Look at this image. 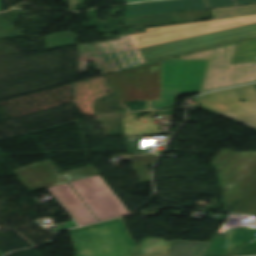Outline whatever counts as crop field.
Masks as SVG:
<instances>
[{
    "mask_svg": "<svg viewBox=\"0 0 256 256\" xmlns=\"http://www.w3.org/2000/svg\"><path fill=\"white\" fill-rule=\"evenodd\" d=\"M209 11L213 20L149 28L146 29L147 33L125 35L117 40L79 46V75L85 73L86 60L90 58V54L99 66V71L103 74L113 73L143 65L135 48L256 22V5Z\"/></svg>",
    "mask_w": 256,
    "mask_h": 256,
    "instance_id": "obj_1",
    "label": "crop field"
},
{
    "mask_svg": "<svg viewBox=\"0 0 256 256\" xmlns=\"http://www.w3.org/2000/svg\"><path fill=\"white\" fill-rule=\"evenodd\" d=\"M76 256H132L137 244L122 218L70 231Z\"/></svg>",
    "mask_w": 256,
    "mask_h": 256,
    "instance_id": "obj_2",
    "label": "crop field"
},
{
    "mask_svg": "<svg viewBox=\"0 0 256 256\" xmlns=\"http://www.w3.org/2000/svg\"><path fill=\"white\" fill-rule=\"evenodd\" d=\"M237 43L182 56L177 60H210L202 92L256 82V61L231 64Z\"/></svg>",
    "mask_w": 256,
    "mask_h": 256,
    "instance_id": "obj_3",
    "label": "crop field"
},
{
    "mask_svg": "<svg viewBox=\"0 0 256 256\" xmlns=\"http://www.w3.org/2000/svg\"><path fill=\"white\" fill-rule=\"evenodd\" d=\"M256 36V23L138 48L143 64H149Z\"/></svg>",
    "mask_w": 256,
    "mask_h": 256,
    "instance_id": "obj_4",
    "label": "crop field"
},
{
    "mask_svg": "<svg viewBox=\"0 0 256 256\" xmlns=\"http://www.w3.org/2000/svg\"><path fill=\"white\" fill-rule=\"evenodd\" d=\"M209 61L162 62L160 100L149 101L151 109H159L173 103L176 93H200Z\"/></svg>",
    "mask_w": 256,
    "mask_h": 256,
    "instance_id": "obj_5",
    "label": "crop field"
},
{
    "mask_svg": "<svg viewBox=\"0 0 256 256\" xmlns=\"http://www.w3.org/2000/svg\"><path fill=\"white\" fill-rule=\"evenodd\" d=\"M222 197L239 201L256 176V152L221 149L212 161Z\"/></svg>",
    "mask_w": 256,
    "mask_h": 256,
    "instance_id": "obj_6",
    "label": "crop field"
},
{
    "mask_svg": "<svg viewBox=\"0 0 256 256\" xmlns=\"http://www.w3.org/2000/svg\"><path fill=\"white\" fill-rule=\"evenodd\" d=\"M195 100L212 112L256 129V92L252 85L212 92ZM239 100L244 102L239 103Z\"/></svg>",
    "mask_w": 256,
    "mask_h": 256,
    "instance_id": "obj_7",
    "label": "crop field"
},
{
    "mask_svg": "<svg viewBox=\"0 0 256 256\" xmlns=\"http://www.w3.org/2000/svg\"><path fill=\"white\" fill-rule=\"evenodd\" d=\"M70 184L99 221L127 214V209L100 176Z\"/></svg>",
    "mask_w": 256,
    "mask_h": 256,
    "instance_id": "obj_8",
    "label": "crop field"
},
{
    "mask_svg": "<svg viewBox=\"0 0 256 256\" xmlns=\"http://www.w3.org/2000/svg\"><path fill=\"white\" fill-rule=\"evenodd\" d=\"M53 166L48 160L13 171L25 187L34 191L66 183Z\"/></svg>",
    "mask_w": 256,
    "mask_h": 256,
    "instance_id": "obj_9",
    "label": "crop field"
},
{
    "mask_svg": "<svg viewBox=\"0 0 256 256\" xmlns=\"http://www.w3.org/2000/svg\"><path fill=\"white\" fill-rule=\"evenodd\" d=\"M207 9L203 0H170L128 5L126 16L136 17L166 12Z\"/></svg>",
    "mask_w": 256,
    "mask_h": 256,
    "instance_id": "obj_10",
    "label": "crop field"
},
{
    "mask_svg": "<svg viewBox=\"0 0 256 256\" xmlns=\"http://www.w3.org/2000/svg\"><path fill=\"white\" fill-rule=\"evenodd\" d=\"M256 238V228L246 226L226 233L225 237L214 236L203 256H230L234 250Z\"/></svg>",
    "mask_w": 256,
    "mask_h": 256,
    "instance_id": "obj_11",
    "label": "crop field"
},
{
    "mask_svg": "<svg viewBox=\"0 0 256 256\" xmlns=\"http://www.w3.org/2000/svg\"><path fill=\"white\" fill-rule=\"evenodd\" d=\"M48 190L53 196H57L78 224L84 225L97 221L68 183L50 187Z\"/></svg>",
    "mask_w": 256,
    "mask_h": 256,
    "instance_id": "obj_12",
    "label": "crop field"
},
{
    "mask_svg": "<svg viewBox=\"0 0 256 256\" xmlns=\"http://www.w3.org/2000/svg\"><path fill=\"white\" fill-rule=\"evenodd\" d=\"M160 63L138 68L137 101L159 99Z\"/></svg>",
    "mask_w": 256,
    "mask_h": 256,
    "instance_id": "obj_13",
    "label": "crop field"
},
{
    "mask_svg": "<svg viewBox=\"0 0 256 256\" xmlns=\"http://www.w3.org/2000/svg\"><path fill=\"white\" fill-rule=\"evenodd\" d=\"M123 108L126 101H136L137 68L107 75Z\"/></svg>",
    "mask_w": 256,
    "mask_h": 256,
    "instance_id": "obj_14",
    "label": "crop field"
},
{
    "mask_svg": "<svg viewBox=\"0 0 256 256\" xmlns=\"http://www.w3.org/2000/svg\"><path fill=\"white\" fill-rule=\"evenodd\" d=\"M143 120L147 123H143ZM155 118H140V121H134L133 118H123L125 136L132 135H159L158 124H154Z\"/></svg>",
    "mask_w": 256,
    "mask_h": 256,
    "instance_id": "obj_15",
    "label": "crop field"
},
{
    "mask_svg": "<svg viewBox=\"0 0 256 256\" xmlns=\"http://www.w3.org/2000/svg\"><path fill=\"white\" fill-rule=\"evenodd\" d=\"M208 243L176 240L169 255L202 256Z\"/></svg>",
    "mask_w": 256,
    "mask_h": 256,
    "instance_id": "obj_16",
    "label": "crop field"
},
{
    "mask_svg": "<svg viewBox=\"0 0 256 256\" xmlns=\"http://www.w3.org/2000/svg\"><path fill=\"white\" fill-rule=\"evenodd\" d=\"M232 213L256 215V178L234 207Z\"/></svg>",
    "mask_w": 256,
    "mask_h": 256,
    "instance_id": "obj_17",
    "label": "crop field"
},
{
    "mask_svg": "<svg viewBox=\"0 0 256 256\" xmlns=\"http://www.w3.org/2000/svg\"><path fill=\"white\" fill-rule=\"evenodd\" d=\"M157 156L142 155L128 156V161H132L134 171L138 172L140 183H152L148 165H153Z\"/></svg>",
    "mask_w": 256,
    "mask_h": 256,
    "instance_id": "obj_18",
    "label": "crop field"
},
{
    "mask_svg": "<svg viewBox=\"0 0 256 256\" xmlns=\"http://www.w3.org/2000/svg\"><path fill=\"white\" fill-rule=\"evenodd\" d=\"M172 242H165L160 239L145 238L134 255H147V254H165L170 248ZM158 248V249H155Z\"/></svg>",
    "mask_w": 256,
    "mask_h": 256,
    "instance_id": "obj_19",
    "label": "crop field"
},
{
    "mask_svg": "<svg viewBox=\"0 0 256 256\" xmlns=\"http://www.w3.org/2000/svg\"><path fill=\"white\" fill-rule=\"evenodd\" d=\"M256 60V38L239 42L233 64Z\"/></svg>",
    "mask_w": 256,
    "mask_h": 256,
    "instance_id": "obj_20",
    "label": "crop field"
},
{
    "mask_svg": "<svg viewBox=\"0 0 256 256\" xmlns=\"http://www.w3.org/2000/svg\"><path fill=\"white\" fill-rule=\"evenodd\" d=\"M62 175L65 177V179L68 182H70V181H74L82 178L99 175V173L96 171V169L93 166H89L79 170L63 173Z\"/></svg>",
    "mask_w": 256,
    "mask_h": 256,
    "instance_id": "obj_21",
    "label": "crop field"
},
{
    "mask_svg": "<svg viewBox=\"0 0 256 256\" xmlns=\"http://www.w3.org/2000/svg\"><path fill=\"white\" fill-rule=\"evenodd\" d=\"M209 8L256 3V0H206Z\"/></svg>",
    "mask_w": 256,
    "mask_h": 256,
    "instance_id": "obj_22",
    "label": "crop field"
},
{
    "mask_svg": "<svg viewBox=\"0 0 256 256\" xmlns=\"http://www.w3.org/2000/svg\"><path fill=\"white\" fill-rule=\"evenodd\" d=\"M243 255H256V240L240 247L236 250L234 256H243Z\"/></svg>",
    "mask_w": 256,
    "mask_h": 256,
    "instance_id": "obj_23",
    "label": "crop field"
},
{
    "mask_svg": "<svg viewBox=\"0 0 256 256\" xmlns=\"http://www.w3.org/2000/svg\"><path fill=\"white\" fill-rule=\"evenodd\" d=\"M129 154H139V136L125 137Z\"/></svg>",
    "mask_w": 256,
    "mask_h": 256,
    "instance_id": "obj_24",
    "label": "crop field"
},
{
    "mask_svg": "<svg viewBox=\"0 0 256 256\" xmlns=\"http://www.w3.org/2000/svg\"><path fill=\"white\" fill-rule=\"evenodd\" d=\"M68 2H69V8H70V10L76 9V8H75V5H84V7H85L84 0H68ZM85 8H86V7H85Z\"/></svg>",
    "mask_w": 256,
    "mask_h": 256,
    "instance_id": "obj_25",
    "label": "crop field"
},
{
    "mask_svg": "<svg viewBox=\"0 0 256 256\" xmlns=\"http://www.w3.org/2000/svg\"><path fill=\"white\" fill-rule=\"evenodd\" d=\"M65 224H66L67 226L63 227L62 229H67V228H71V227L77 226V225L74 223L73 220H72V221H67V222H65Z\"/></svg>",
    "mask_w": 256,
    "mask_h": 256,
    "instance_id": "obj_26",
    "label": "crop field"
},
{
    "mask_svg": "<svg viewBox=\"0 0 256 256\" xmlns=\"http://www.w3.org/2000/svg\"><path fill=\"white\" fill-rule=\"evenodd\" d=\"M140 1H149V0H127L128 3L140 2Z\"/></svg>",
    "mask_w": 256,
    "mask_h": 256,
    "instance_id": "obj_27",
    "label": "crop field"
},
{
    "mask_svg": "<svg viewBox=\"0 0 256 256\" xmlns=\"http://www.w3.org/2000/svg\"><path fill=\"white\" fill-rule=\"evenodd\" d=\"M148 256H164V255H148Z\"/></svg>",
    "mask_w": 256,
    "mask_h": 256,
    "instance_id": "obj_28",
    "label": "crop field"
},
{
    "mask_svg": "<svg viewBox=\"0 0 256 256\" xmlns=\"http://www.w3.org/2000/svg\"><path fill=\"white\" fill-rule=\"evenodd\" d=\"M254 89L256 90V84L253 85Z\"/></svg>",
    "mask_w": 256,
    "mask_h": 256,
    "instance_id": "obj_29",
    "label": "crop field"
},
{
    "mask_svg": "<svg viewBox=\"0 0 256 256\" xmlns=\"http://www.w3.org/2000/svg\"><path fill=\"white\" fill-rule=\"evenodd\" d=\"M0 11H2V9H1V4H0Z\"/></svg>",
    "mask_w": 256,
    "mask_h": 256,
    "instance_id": "obj_30",
    "label": "crop field"
}]
</instances>
